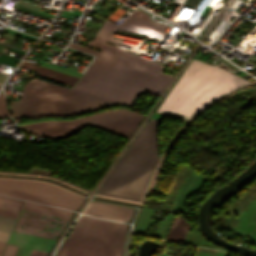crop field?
<instances>
[{"label":"crop field","mask_w":256,"mask_h":256,"mask_svg":"<svg viewBox=\"0 0 256 256\" xmlns=\"http://www.w3.org/2000/svg\"><path fill=\"white\" fill-rule=\"evenodd\" d=\"M67 219L22 210L13 230L57 240Z\"/></svg>","instance_id":"crop-field-9"},{"label":"crop field","mask_w":256,"mask_h":256,"mask_svg":"<svg viewBox=\"0 0 256 256\" xmlns=\"http://www.w3.org/2000/svg\"><path fill=\"white\" fill-rule=\"evenodd\" d=\"M166 28L167 26L154 23L149 19L148 14L136 9L120 25H116L106 20L100 27L94 41H89L87 44L100 49L105 42L116 45L119 41L115 40L111 35V33L116 30L138 33L147 37L162 40L165 36L164 31Z\"/></svg>","instance_id":"crop-field-8"},{"label":"crop field","mask_w":256,"mask_h":256,"mask_svg":"<svg viewBox=\"0 0 256 256\" xmlns=\"http://www.w3.org/2000/svg\"><path fill=\"white\" fill-rule=\"evenodd\" d=\"M5 244H6V243H4V242H0V255H1L2 252H3V249H4Z\"/></svg>","instance_id":"crop-field-24"},{"label":"crop field","mask_w":256,"mask_h":256,"mask_svg":"<svg viewBox=\"0 0 256 256\" xmlns=\"http://www.w3.org/2000/svg\"><path fill=\"white\" fill-rule=\"evenodd\" d=\"M150 119L98 188L103 194L139 199L157 161V126Z\"/></svg>","instance_id":"crop-field-4"},{"label":"crop field","mask_w":256,"mask_h":256,"mask_svg":"<svg viewBox=\"0 0 256 256\" xmlns=\"http://www.w3.org/2000/svg\"><path fill=\"white\" fill-rule=\"evenodd\" d=\"M31 250H32V249L25 248L24 251H23V253H22V256H29Z\"/></svg>","instance_id":"crop-field-23"},{"label":"crop field","mask_w":256,"mask_h":256,"mask_svg":"<svg viewBox=\"0 0 256 256\" xmlns=\"http://www.w3.org/2000/svg\"><path fill=\"white\" fill-rule=\"evenodd\" d=\"M132 212L133 208L92 201L87 205L83 214L129 221Z\"/></svg>","instance_id":"crop-field-10"},{"label":"crop field","mask_w":256,"mask_h":256,"mask_svg":"<svg viewBox=\"0 0 256 256\" xmlns=\"http://www.w3.org/2000/svg\"><path fill=\"white\" fill-rule=\"evenodd\" d=\"M247 83L228 71L192 60L157 112L187 121L220 95Z\"/></svg>","instance_id":"crop-field-2"},{"label":"crop field","mask_w":256,"mask_h":256,"mask_svg":"<svg viewBox=\"0 0 256 256\" xmlns=\"http://www.w3.org/2000/svg\"><path fill=\"white\" fill-rule=\"evenodd\" d=\"M41 66H44L46 68H49V69H52V70H55V71H58V72H61V73H65V74H68V75H71V76H74V77H77L79 78V75H76V74H73V73H70V72H67V71H64L62 69H59V68H56V67H53V66H50V65H46V64H40Z\"/></svg>","instance_id":"crop-field-19"},{"label":"crop field","mask_w":256,"mask_h":256,"mask_svg":"<svg viewBox=\"0 0 256 256\" xmlns=\"http://www.w3.org/2000/svg\"><path fill=\"white\" fill-rule=\"evenodd\" d=\"M7 106L3 97V94L0 92V118L8 116Z\"/></svg>","instance_id":"crop-field-17"},{"label":"crop field","mask_w":256,"mask_h":256,"mask_svg":"<svg viewBox=\"0 0 256 256\" xmlns=\"http://www.w3.org/2000/svg\"><path fill=\"white\" fill-rule=\"evenodd\" d=\"M97 56L74 88L132 107L139 92L160 96L172 77L162 65L107 44L98 52L70 43Z\"/></svg>","instance_id":"crop-field-1"},{"label":"crop field","mask_w":256,"mask_h":256,"mask_svg":"<svg viewBox=\"0 0 256 256\" xmlns=\"http://www.w3.org/2000/svg\"><path fill=\"white\" fill-rule=\"evenodd\" d=\"M0 214H1V215H5V216L14 217V218H16L17 215H18V214H16V213L7 212V211H2V210H0Z\"/></svg>","instance_id":"crop-field-21"},{"label":"crop field","mask_w":256,"mask_h":256,"mask_svg":"<svg viewBox=\"0 0 256 256\" xmlns=\"http://www.w3.org/2000/svg\"><path fill=\"white\" fill-rule=\"evenodd\" d=\"M16 219L0 215V231L10 233Z\"/></svg>","instance_id":"crop-field-16"},{"label":"crop field","mask_w":256,"mask_h":256,"mask_svg":"<svg viewBox=\"0 0 256 256\" xmlns=\"http://www.w3.org/2000/svg\"><path fill=\"white\" fill-rule=\"evenodd\" d=\"M143 117L144 115L134 111L118 109L69 121H38L18 127L28 133L57 139L67 137L89 125L129 138Z\"/></svg>","instance_id":"crop-field-6"},{"label":"crop field","mask_w":256,"mask_h":256,"mask_svg":"<svg viewBox=\"0 0 256 256\" xmlns=\"http://www.w3.org/2000/svg\"><path fill=\"white\" fill-rule=\"evenodd\" d=\"M21 66L37 71L36 75H38V76L48 78V79H51V80H54V81H57L60 83H64V84H67L70 86H73L74 83L77 81V78H74V77H71L68 75H64V74L40 67V66H36V65L27 63L25 61L22 62Z\"/></svg>","instance_id":"crop-field-12"},{"label":"crop field","mask_w":256,"mask_h":256,"mask_svg":"<svg viewBox=\"0 0 256 256\" xmlns=\"http://www.w3.org/2000/svg\"><path fill=\"white\" fill-rule=\"evenodd\" d=\"M8 243L49 251L54 241L13 231Z\"/></svg>","instance_id":"crop-field-11"},{"label":"crop field","mask_w":256,"mask_h":256,"mask_svg":"<svg viewBox=\"0 0 256 256\" xmlns=\"http://www.w3.org/2000/svg\"><path fill=\"white\" fill-rule=\"evenodd\" d=\"M48 253L46 252H42V251H38V250H32L30 256H47Z\"/></svg>","instance_id":"crop-field-20"},{"label":"crop field","mask_w":256,"mask_h":256,"mask_svg":"<svg viewBox=\"0 0 256 256\" xmlns=\"http://www.w3.org/2000/svg\"><path fill=\"white\" fill-rule=\"evenodd\" d=\"M22 209L39 212V213H44V214L60 216V217H65L68 219L70 218L71 213H72L70 211L53 208V207H49V206H45V205H40V204L28 202V201H25Z\"/></svg>","instance_id":"crop-field-14"},{"label":"crop field","mask_w":256,"mask_h":256,"mask_svg":"<svg viewBox=\"0 0 256 256\" xmlns=\"http://www.w3.org/2000/svg\"><path fill=\"white\" fill-rule=\"evenodd\" d=\"M0 193L78 210L83 198L49 183L2 179Z\"/></svg>","instance_id":"crop-field-7"},{"label":"crop field","mask_w":256,"mask_h":256,"mask_svg":"<svg viewBox=\"0 0 256 256\" xmlns=\"http://www.w3.org/2000/svg\"><path fill=\"white\" fill-rule=\"evenodd\" d=\"M125 225L81 216L67 239L122 250ZM66 240L58 256H121L122 251ZM56 255V256H57Z\"/></svg>","instance_id":"crop-field-5"},{"label":"crop field","mask_w":256,"mask_h":256,"mask_svg":"<svg viewBox=\"0 0 256 256\" xmlns=\"http://www.w3.org/2000/svg\"><path fill=\"white\" fill-rule=\"evenodd\" d=\"M5 80V77L4 76H0V83H3Z\"/></svg>","instance_id":"crop-field-25"},{"label":"crop field","mask_w":256,"mask_h":256,"mask_svg":"<svg viewBox=\"0 0 256 256\" xmlns=\"http://www.w3.org/2000/svg\"><path fill=\"white\" fill-rule=\"evenodd\" d=\"M18 246L7 244L2 256H14Z\"/></svg>","instance_id":"crop-field-18"},{"label":"crop field","mask_w":256,"mask_h":256,"mask_svg":"<svg viewBox=\"0 0 256 256\" xmlns=\"http://www.w3.org/2000/svg\"><path fill=\"white\" fill-rule=\"evenodd\" d=\"M10 234L0 232V241L6 242Z\"/></svg>","instance_id":"crop-field-22"},{"label":"crop field","mask_w":256,"mask_h":256,"mask_svg":"<svg viewBox=\"0 0 256 256\" xmlns=\"http://www.w3.org/2000/svg\"><path fill=\"white\" fill-rule=\"evenodd\" d=\"M189 226L190 224L181 215H177L166 239L182 243Z\"/></svg>","instance_id":"crop-field-13"},{"label":"crop field","mask_w":256,"mask_h":256,"mask_svg":"<svg viewBox=\"0 0 256 256\" xmlns=\"http://www.w3.org/2000/svg\"><path fill=\"white\" fill-rule=\"evenodd\" d=\"M23 201L0 196V209L18 213Z\"/></svg>","instance_id":"crop-field-15"},{"label":"crop field","mask_w":256,"mask_h":256,"mask_svg":"<svg viewBox=\"0 0 256 256\" xmlns=\"http://www.w3.org/2000/svg\"><path fill=\"white\" fill-rule=\"evenodd\" d=\"M14 118L44 116L69 117L97 109L116 106L114 102L39 79L25 85L21 100L8 102Z\"/></svg>","instance_id":"crop-field-3"}]
</instances>
